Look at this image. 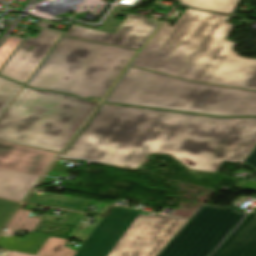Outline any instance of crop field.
I'll return each instance as SVG.
<instances>
[{
  "instance_id": "8a807250",
  "label": "crop field",
  "mask_w": 256,
  "mask_h": 256,
  "mask_svg": "<svg viewBox=\"0 0 256 256\" xmlns=\"http://www.w3.org/2000/svg\"><path fill=\"white\" fill-rule=\"evenodd\" d=\"M256 146V118H216L101 104L63 156L138 169L149 154L214 173Z\"/></svg>"
},
{
  "instance_id": "ac0d7876",
  "label": "crop field",
  "mask_w": 256,
  "mask_h": 256,
  "mask_svg": "<svg viewBox=\"0 0 256 256\" xmlns=\"http://www.w3.org/2000/svg\"><path fill=\"white\" fill-rule=\"evenodd\" d=\"M230 17L186 9L164 22L132 66L210 84L256 90V60L242 58L224 37Z\"/></svg>"
},
{
  "instance_id": "34b2d1b8",
  "label": "crop field",
  "mask_w": 256,
  "mask_h": 256,
  "mask_svg": "<svg viewBox=\"0 0 256 256\" xmlns=\"http://www.w3.org/2000/svg\"><path fill=\"white\" fill-rule=\"evenodd\" d=\"M103 102L213 116H256V92L185 81L130 67Z\"/></svg>"
},
{
  "instance_id": "412701ff",
  "label": "crop field",
  "mask_w": 256,
  "mask_h": 256,
  "mask_svg": "<svg viewBox=\"0 0 256 256\" xmlns=\"http://www.w3.org/2000/svg\"><path fill=\"white\" fill-rule=\"evenodd\" d=\"M137 52L62 36L26 85L102 99Z\"/></svg>"
},
{
  "instance_id": "f4fd0767",
  "label": "crop field",
  "mask_w": 256,
  "mask_h": 256,
  "mask_svg": "<svg viewBox=\"0 0 256 256\" xmlns=\"http://www.w3.org/2000/svg\"><path fill=\"white\" fill-rule=\"evenodd\" d=\"M96 106L24 86L0 117V140L60 153Z\"/></svg>"
},
{
  "instance_id": "dd49c442",
  "label": "crop field",
  "mask_w": 256,
  "mask_h": 256,
  "mask_svg": "<svg viewBox=\"0 0 256 256\" xmlns=\"http://www.w3.org/2000/svg\"><path fill=\"white\" fill-rule=\"evenodd\" d=\"M187 221L114 207L74 256H156Z\"/></svg>"
},
{
  "instance_id": "e52e79f7",
  "label": "crop field",
  "mask_w": 256,
  "mask_h": 256,
  "mask_svg": "<svg viewBox=\"0 0 256 256\" xmlns=\"http://www.w3.org/2000/svg\"><path fill=\"white\" fill-rule=\"evenodd\" d=\"M245 212L203 205L157 256H208Z\"/></svg>"
},
{
  "instance_id": "d8731c3e",
  "label": "crop field",
  "mask_w": 256,
  "mask_h": 256,
  "mask_svg": "<svg viewBox=\"0 0 256 256\" xmlns=\"http://www.w3.org/2000/svg\"><path fill=\"white\" fill-rule=\"evenodd\" d=\"M52 23L40 21L43 28L34 39L24 40L9 61L0 70V75L23 85L28 81L36 68L63 35V31L47 29ZM33 46L31 51H27Z\"/></svg>"
},
{
  "instance_id": "5a996713",
  "label": "crop field",
  "mask_w": 256,
  "mask_h": 256,
  "mask_svg": "<svg viewBox=\"0 0 256 256\" xmlns=\"http://www.w3.org/2000/svg\"><path fill=\"white\" fill-rule=\"evenodd\" d=\"M159 23L128 14L114 34L71 26L64 36L140 49Z\"/></svg>"
},
{
  "instance_id": "3316defc",
  "label": "crop field",
  "mask_w": 256,
  "mask_h": 256,
  "mask_svg": "<svg viewBox=\"0 0 256 256\" xmlns=\"http://www.w3.org/2000/svg\"><path fill=\"white\" fill-rule=\"evenodd\" d=\"M57 155L0 141V168L3 169L42 176Z\"/></svg>"
},
{
  "instance_id": "28ad6ade",
  "label": "crop field",
  "mask_w": 256,
  "mask_h": 256,
  "mask_svg": "<svg viewBox=\"0 0 256 256\" xmlns=\"http://www.w3.org/2000/svg\"><path fill=\"white\" fill-rule=\"evenodd\" d=\"M212 256H256V212H251Z\"/></svg>"
},
{
  "instance_id": "d1516ede",
  "label": "crop field",
  "mask_w": 256,
  "mask_h": 256,
  "mask_svg": "<svg viewBox=\"0 0 256 256\" xmlns=\"http://www.w3.org/2000/svg\"><path fill=\"white\" fill-rule=\"evenodd\" d=\"M40 176L0 169V197L22 202Z\"/></svg>"
},
{
  "instance_id": "22f410ed",
  "label": "crop field",
  "mask_w": 256,
  "mask_h": 256,
  "mask_svg": "<svg viewBox=\"0 0 256 256\" xmlns=\"http://www.w3.org/2000/svg\"><path fill=\"white\" fill-rule=\"evenodd\" d=\"M49 237L33 234L27 241H17L0 236V248L36 254Z\"/></svg>"
},
{
  "instance_id": "cbeb9de0",
  "label": "crop field",
  "mask_w": 256,
  "mask_h": 256,
  "mask_svg": "<svg viewBox=\"0 0 256 256\" xmlns=\"http://www.w3.org/2000/svg\"><path fill=\"white\" fill-rule=\"evenodd\" d=\"M238 2L239 0H180L181 5L225 14L233 13Z\"/></svg>"
},
{
  "instance_id": "5142ce71",
  "label": "crop field",
  "mask_w": 256,
  "mask_h": 256,
  "mask_svg": "<svg viewBox=\"0 0 256 256\" xmlns=\"http://www.w3.org/2000/svg\"><path fill=\"white\" fill-rule=\"evenodd\" d=\"M66 240L50 237L43 247L38 251V255L43 256H73L76 251L70 247H63Z\"/></svg>"
},
{
  "instance_id": "d9b57169",
  "label": "crop field",
  "mask_w": 256,
  "mask_h": 256,
  "mask_svg": "<svg viewBox=\"0 0 256 256\" xmlns=\"http://www.w3.org/2000/svg\"><path fill=\"white\" fill-rule=\"evenodd\" d=\"M22 87V85L0 78V116Z\"/></svg>"
},
{
  "instance_id": "733c2abd",
  "label": "crop field",
  "mask_w": 256,
  "mask_h": 256,
  "mask_svg": "<svg viewBox=\"0 0 256 256\" xmlns=\"http://www.w3.org/2000/svg\"><path fill=\"white\" fill-rule=\"evenodd\" d=\"M30 213L29 211L19 210L7 228L31 232L40 219L35 217L28 218L27 216Z\"/></svg>"
},
{
  "instance_id": "4a817a6b",
  "label": "crop field",
  "mask_w": 256,
  "mask_h": 256,
  "mask_svg": "<svg viewBox=\"0 0 256 256\" xmlns=\"http://www.w3.org/2000/svg\"><path fill=\"white\" fill-rule=\"evenodd\" d=\"M64 199H65L64 196L51 194V193H47L45 197L31 194L26 202L34 203V204H40V205L59 207V205L62 203V201Z\"/></svg>"
},
{
  "instance_id": "bc2a9ffb",
  "label": "crop field",
  "mask_w": 256,
  "mask_h": 256,
  "mask_svg": "<svg viewBox=\"0 0 256 256\" xmlns=\"http://www.w3.org/2000/svg\"><path fill=\"white\" fill-rule=\"evenodd\" d=\"M20 204L0 200V230L18 209Z\"/></svg>"
},
{
  "instance_id": "214f88e0",
  "label": "crop field",
  "mask_w": 256,
  "mask_h": 256,
  "mask_svg": "<svg viewBox=\"0 0 256 256\" xmlns=\"http://www.w3.org/2000/svg\"><path fill=\"white\" fill-rule=\"evenodd\" d=\"M21 39L8 37L3 46L0 48V67L6 61V59L11 55V53L16 49V47L21 43Z\"/></svg>"
},
{
  "instance_id": "92a150f3",
  "label": "crop field",
  "mask_w": 256,
  "mask_h": 256,
  "mask_svg": "<svg viewBox=\"0 0 256 256\" xmlns=\"http://www.w3.org/2000/svg\"><path fill=\"white\" fill-rule=\"evenodd\" d=\"M89 202L92 201L66 197L60 207L80 211L83 206H88Z\"/></svg>"
},
{
  "instance_id": "dafd665d",
  "label": "crop field",
  "mask_w": 256,
  "mask_h": 256,
  "mask_svg": "<svg viewBox=\"0 0 256 256\" xmlns=\"http://www.w3.org/2000/svg\"><path fill=\"white\" fill-rule=\"evenodd\" d=\"M243 166L251 167L256 170V147L255 149L246 157V159L241 163ZM256 179V174L253 180Z\"/></svg>"
},
{
  "instance_id": "00972430",
  "label": "crop field",
  "mask_w": 256,
  "mask_h": 256,
  "mask_svg": "<svg viewBox=\"0 0 256 256\" xmlns=\"http://www.w3.org/2000/svg\"><path fill=\"white\" fill-rule=\"evenodd\" d=\"M83 216V214L72 212L64 224L76 227L80 220L83 218Z\"/></svg>"
},
{
  "instance_id": "a9b5d70f",
  "label": "crop field",
  "mask_w": 256,
  "mask_h": 256,
  "mask_svg": "<svg viewBox=\"0 0 256 256\" xmlns=\"http://www.w3.org/2000/svg\"><path fill=\"white\" fill-rule=\"evenodd\" d=\"M243 189L251 190V191H256V182L248 181Z\"/></svg>"
},
{
  "instance_id": "4177f3b9",
  "label": "crop field",
  "mask_w": 256,
  "mask_h": 256,
  "mask_svg": "<svg viewBox=\"0 0 256 256\" xmlns=\"http://www.w3.org/2000/svg\"><path fill=\"white\" fill-rule=\"evenodd\" d=\"M110 206H111V204H105L104 206H103V208L100 210V212L98 213V215H104L105 214V212L110 208Z\"/></svg>"
},
{
  "instance_id": "730fd06b",
  "label": "crop field",
  "mask_w": 256,
  "mask_h": 256,
  "mask_svg": "<svg viewBox=\"0 0 256 256\" xmlns=\"http://www.w3.org/2000/svg\"><path fill=\"white\" fill-rule=\"evenodd\" d=\"M8 256H34V255H28V254H23V253H17V252H11L10 251Z\"/></svg>"
}]
</instances>
